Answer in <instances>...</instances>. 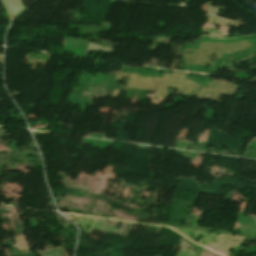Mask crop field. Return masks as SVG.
Instances as JSON below:
<instances>
[{
  "mask_svg": "<svg viewBox=\"0 0 256 256\" xmlns=\"http://www.w3.org/2000/svg\"><path fill=\"white\" fill-rule=\"evenodd\" d=\"M11 20L20 13L24 7L21 0H1Z\"/></svg>",
  "mask_w": 256,
  "mask_h": 256,
  "instance_id": "1",
  "label": "crop field"
}]
</instances>
